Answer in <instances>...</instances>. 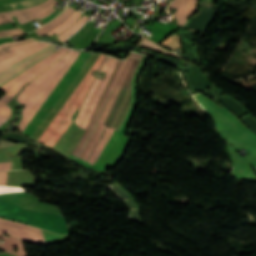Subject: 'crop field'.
I'll return each mask as SVG.
<instances>
[{
	"instance_id": "8a807250",
	"label": "crop field",
	"mask_w": 256,
	"mask_h": 256,
	"mask_svg": "<svg viewBox=\"0 0 256 256\" xmlns=\"http://www.w3.org/2000/svg\"><path fill=\"white\" fill-rule=\"evenodd\" d=\"M142 58L141 55L131 53L129 57L124 61H118L103 93L97 104V107L91 117V120L86 128V131L82 135L81 139L75 146L72 154L83 158L84 154L88 150L89 146L96 137L103 120L108 112V109L114 99V96L119 88V85L125 75V72L134 59ZM134 59L126 75L120 85V88L115 96V99L109 109V112L104 120V123L92 143L91 147L87 151L84 159L94 163L98 155L104 149L106 143L111 137L114 130H118L128 108L131 103V81L133 73L140 63V60Z\"/></svg>"
},
{
	"instance_id": "ac0d7876",
	"label": "crop field",
	"mask_w": 256,
	"mask_h": 256,
	"mask_svg": "<svg viewBox=\"0 0 256 256\" xmlns=\"http://www.w3.org/2000/svg\"><path fill=\"white\" fill-rule=\"evenodd\" d=\"M79 54V51L72 50L39 75L21 92L17 100L26 105L22 111L23 118L19 124L21 132Z\"/></svg>"
},
{
	"instance_id": "34b2d1b8",
	"label": "crop field",
	"mask_w": 256,
	"mask_h": 256,
	"mask_svg": "<svg viewBox=\"0 0 256 256\" xmlns=\"http://www.w3.org/2000/svg\"><path fill=\"white\" fill-rule=\"evenodd\" d=\"M106 57L107 56H105V58H104V55L101 54V56L98 58V60L92 66V68L89 70V72L86 74V76L83 78V80L77 86V88L74 90V92L68 98V100L62 106V108L59 110V112L56 114V116L53 118V120L50 122V124L47 126L45 131L39 137L38 141H40L46 145H49L53 148V146L56 144V142L59 140V138L65 132V130L68 128V126L71 124L72 114L75 112V110L81 104L89 87L91 86V84L95 78L90 75L92 70L93 69L97 70L98 66L100 65L101 61L104 58V60L102 61L101 65L98 68V71H99V69L102 66L103 62L105 61Z\"/></svg>"
},
{
	"instance_id": "412701ff",
	"label": "crop field",
	"mask_w": 256,
	"mask_h": 256,
	"mask_svg": "<svg viewBox=\"0 0 256 256\" xmlns=\"http://www.w3.org/2000/svg\"><path fill=\"white\" fill-rule=\"evenodd\" d=\"M68 51H69L68 49L60 48L56 53L54 52L55 54L51 55L48 58L46 57L47 59L43 60L42 62L35 65L31 69L27 70L26 72L22 73L21 75L14 78L10 82L6 83L2 87H0V89L15 96L27 82H29L34 77H36L38 74H40L43 70H45L47 67H49L52 63H54L57 59H59L61 56H63ZM8 93L0 100V115L10 118L11 109L6 104L14 96H12Z\"/></svg>"
},
{
	"instance_id": "f4fd0767",
	"label": "crop field",
	"mask_w": 256,
	"mask_h": 256,
	"mask_svg": "<svg viewBox=\"0 0 256 256\" xmlns=\"http://www.w3.org/2000/svg\"><path fill=\"white\" fill-rule=\"evenodd\" d=\"M117 59L109 57L108 61L106 62L105 66L103 67L102 71L107 72L104 80L96 79L94 85L92 86L91 90L89 91L81 110L75 120L77 126L86 128L90 117L96 107V104L101 96V93L117 63ZM87 109L91 110L90 113H87Z\"/></svg>"
},
{
	"instance_id": "dd49c442",
	"label": "crop field",
	"mask_w": 256,
	"mask_h": 256,
	"mask_svg": "<svg viewBox=\"0 0 256 256\" xmlns=\"http://www.w3.org/2000/svg\"><path fill=\"white\" fill-rule=\"evenodd\" d=\"M53 47H55V45L51 44L45 48H43L42 50L34 53L33 55L21 60L20 62L10 66L9 68L3 70L0 72V77L5 75L6 73L18 68L19 66L31 61L32 59L40 56L41 54L45 53L46 51L52 49ZM55 51L51 50L43 55H41L40 57L32 60L31 62L19 67L18 69L6 74L5 76L0 78V86H2L3 84H5L6 82L10 81L11 79H13L14 77L18 76L19 74H21L22 72L26 71L27 69L31 68L32 66H34L35 64L39 63L40 61H42L43 59H45L46 57L50 56L51 54H53Z\"/></svg>"
},
{
	"instance_id": "e52e79f7",
	"label": "crop field",
	"mask_w": 256,
	"mask_h": 256,
	"mask_svg": "<svg viewBox=\"0 0 256 256\" xmlns=\"http://www.w3.org/2000/svg\"><path fill=\"white\" fill-rule=\"evenodd\" d=\"M2 231L8 232L10 236L20 240L44 242L40 229L0 219V234L3 235Z\"/></svg>"
},
{
	"instance_id": "d8731c3e",
	"label": "crop field",
	"mask_w": 256,
	"mask_h": 256,
	"mask_svg": "<svg viewBox=\"0 0 256 256\" xmlns=\"http://www.w3.org/2000/svg\"><path fill=\"white\" fill-rule=\"evenodd\" d=\"M58 1L56 0H47L46 2L39 4L37 6L24 9V10H17L11 11L12 16H16L19 20V23H26L39 15L49 11L52 7H54Z\"/></svg>"
},
{
	"instance_id": "5a996713",
	"label": "crop field",
	"mask_w": 256,
	"mask_h": 256,
	"mask_svg": "<svg viewBox=\"0 0 256 256\" xmlns=\"http://www.w3.org/2000/svg\"><path fill=\"white\" fill-rule=\"evenodd\" d=\"M47 45H49V43L40 42L31 46L21 48L19 50L22 51L25 56H28ZM19 50L0 57V71L25 58L24 54Z\"/></svg>"
},
{
	"instance_id": "3316defc",
	"label": "crop field",
	"mask_w": 256,
	"mask_h": 256,
	"mask_svg": "<svg viewBox=\"0 0 256 256\" xmlns=\"http://www.w3.org/2000/svg\"><path fill=\"white\" fill-rule=\"evenodd\" d=\"M198 0H173L170 7L178 9L174 15V19L179 20V25L186 24V18L196 11V3Z\"/></svg>"
},
{
	"instance_id": "28ad6ade",
	"label": "crop field",
	"mask_w": 256,
	"mask_h": 256,
	"mask_svg": "<svg viewBox=\"0 0 256 256\" xmlns=\"http://www.w3.org/2000/svg\"><path fill=\"white\" fill-rule=\"evenodd\" d=\"M75 9L68 7L62 14H60L57 18H55L52 22L45 25L44 27L36 30V33L38 35H43L46 32H48L50 29L60 25L62 22H64L74 11Z\"/></svg>"
},
{
	"instance_id": "d1516ede",
	"label": "crop field",
	"mask_w": 256,
	"mask_h": 256,
	"mask_svg": "<svg viewBox=\"0 0 256 256\" xmlns=\"http://www.w3.org/2000/svg\"><path fill=\"white\" fill-rule=\"evenodd\" d=\"M14 246H16L18 249V251L14 255L27 256L23 247V243L17 239L6 237L4 243L0 244V248L4 249L5 251L11 254H13L14 252L13 250Z\"/></svg>"
},
{
	"instance_id": "22f410ed",
	"label": "crop field",
	"mask_w": 256,
	"mask_h": 256,
	"mask_svg": "<svg viewBox=\"0 0 256 256\" xmlns=\"http://www.w3.org/2000/svg\"><path fill=\"white\" fill-rule=\"evenodd\" d=\"M88 17L82 16L77 22H75L71 27H69L63 34L59 35L57 38L66 41L74 32H76L86 21Z\"/></svg>"
},
{
	"instance_id": "cbeb9de0",
	"label": "crop field",
	"mask_w": 256,
	"mask_h": 256,
	"mask_svg": "<svg viewBox=\"0 0 256 256\" xmlns=\"http://www.w3.org/2000/svg\"><path fill=\"white\" fill-rule=\"evenodd\" d=\"M81 13L75 11L64 23H62L59 27L53 29L52 31L48 32L47 35L52 36L53 33L56 32V35L64 31L68 28L76 19H78Z\"/></svg>"
},
{
	"instance_id": "5142ce71",
	"label": "crop field",
	"mask_w": 256,
	"mask_h": 256,
	"mask_svg": "<svg viewBox=\"0 0 256 256\" xmlns=\"http://www.w3.org/2000/svg\"><path fill=\"white\" fill-rule=\"evenodd\" d=\"M44 1H46V0H22V1H19V2L7 4L5 6L11 5L13 10H17V9L28 8V7L37 5L39 3H42Z\"/></svg>"
},
{
	"instance_id": "d9b57169",
	"label": "crop field",
	"mask_w": 256,
	"mask_h": 256,
	"mask_svg": "<svg viewBox=\"0 0 256 256\" xmlns=\"http://www.w3.org/2000/svg\"><path fill=\"white\" fill-rule=\"evenodd\" d=\"M137 46H139V47H144V48H148V49H151V50H154V51H158V52H161V53H164V54H167V55H171V56L178 57V56H176V55H174V54L168 52L167 50H165V49H163V48H161V47H159V46H157V45H155V44L149 42L148 40H146V39H144V38H143V40H141V41L139 42V44H138ZM179 58H180V57H179Z\"/></svg>"
},
{
	"instance_id": "733c2abd",
	"label": "crop field",
	"mask_w": 256,
	"mask_h": 256,
	"mask_svg": "<svg viewBox=\"0 0 256 256\" xmlns=\"http://www.w3.org/2000/svg\"><path fill=\"white\" fill-rule=\"evenodd\" d=\"M162 46L174 51L177 47H180V39L176 35H172L168 40H166Z\"/></svg>"
},
{
	"instance_id": "4a817a6b",
	"label": "crop field",
	"mask_w": 256,
	"mask_h": 256,
	"mask_svg": "<svg viewBox=\"0 0 256 256\" xmlns=\"http://www.w3.org/2000/svg\"><path fill=\"white\" fill-rule=\"evenodd\" d=\"M22 33H24V32L20 29L2 30V31H0V37L12 36V35H17V34H22Z\"/></svg>"
},
{
	"instance_id": "bc2a9ffb",
	"label": "crop field",
	"mask_w": 256,
	"mask_h": 256,
	"mask_svg": "<svg viewBox=\"0 0 256 256\" xmlns=\"http://www.w3.org/2000/svg\"><path fill=\"white\" fill-rule=\"evenodd\" d=\"M20 187L13 186H0V193H8V192H21Z\"/></svg>"
},
{
	"instance_id": "214f88e0",
	"label": "crop field",
	"mask_w": 256,
	"mask_h": 256,
	"mask_svg": "<svg viewBox=\"0 0 256 256\" xmlns=\"http://www.w3.org/2000/svg\"><path fill=\"white\" fill-rule=\"evenodd\" d=\"M36 42H37V41H33V42H30V43H26V44H22V45H18V46H13V47L6 48V49L0 51V56L3 55V54H5V53L14 51V50H16V49H19V48H21V47H24V46H27V45H30V44H33V43H36Z\"/></svg>"
},
{
	"instance_id": "92a150f3",
	"label": "crop field",
	"mask_w": 256,
	"mask_h": 256,
	"mask_svg": "<svg viewBox=\"0 0 256 256\" xmlns=\"http://www.w3.org/2000/svg\"><path fill=\"white\" fill-rule=\"evenodd\" d=\"M13 21L12 18L9 16V12L0 13V24L11 22Z\"/></svg>"
},
{
	"instance_id": "dafd665d",
	"label": "crop field",
	"mask_w": 256,
	"mask_h": 256,
	"mask_svg": "<svg viewBox=\"0 0 256 256\" xmlns=\"http://www.w3.org/2000/svg\"><path fill=\"white\" fill-rule=\"evenodd\" d=\"M34 39H28V40H22V41H16V42H11V43H3V44H0V49H3L7 46H11V45H16V44H21V43H26V42H29V41H32Z\"/></svg>"
},
{
	"instance_id": "00972430",
	"label": "crop field",
	"mask_w": 256,
	"mask_h": 256,
	"mask_svg": "<svg viewBox=\"0 0 256 256\" xmlns=\"http://www.w3.org/2000/svg\"><path fill=\"white\" fill-rule=\"evenodd\" d=\"M7 172H0V185H5Z\"/></svg>"
},
{
	"instance_id": "a9b5d70f",
	"label": "crop field",
	"mask_w": 256,
	"mask_h": 256,
	"mask_svg": "<svg viewBox=\"0 0 256 256\" xmlns=\"http://www.w3.org/2000/svg\"><path fill=\"white\" fill-rule=\"evenodd\" d=\"M11 162L0 163V170L10 169Z\"/></svg>"
},
{
	"instance_id": "4177f3b9",
	"label": "crop field",
	"mask_w": 256,
	"mask_h": 256,
	"mask_svg": "<svg viewBox=\"0 0 256 256\" xmlns=\"http://www.w3.org/2000/svg\"><path fill=\"white\" fill-rule=\"evenodd\" d=\"M6 121V118L0 116V126L3 125Z\"/></svg>"
},
{
	"instance_id": "730fd06b",
	"label": "crop field",
	"mask_w": 256,
	"mask_h": 256,
	"mask_svg": "<svg viewBox=\"0 0 256 256\" xmlns=\"http://www.w3.org/2000/svg\"><path fill=\"white\" fill-rule=\"evenodd\" d=\"M0 237L5 238V237H3V236H0Z\"/></svg>"
}]
</instances>
